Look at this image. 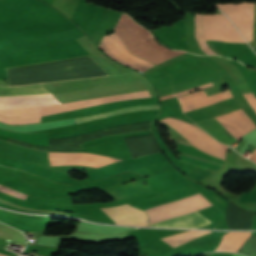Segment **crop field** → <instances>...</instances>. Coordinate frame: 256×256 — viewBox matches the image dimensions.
Listing matches in <instances>:
<instances>
[{"label": "crop field", "instance_id": "crop-field-13", "mask_svg": "<svg viewBox=\"0 0 256 256\" xmlns=\"http://www.w3.org/2000/svg\"><path fill=\"white\" fill-rule=\"evenodd\" d=\"M0 134L37 146H47L48 134L16 133L0 129Z\"/></svg>", "mask_w": 256, "mask_h": 256}, {"label": "crop field", "instance_id": "crop-field-12", "mask_svg": "<svg viewBox=\"0 0 256 256\" xmlns=\"http://www.w3.org/2000/svg\"><path fill=\"white\" fill-rule=\"evenodd\" d=\"M251 233L248 232H228L223 235L220 245L216 248L217 250L238 251L244 242L250 237Z\"/></svg>", "mask_w": 256, "mask_h": 256}, {"label": "crop field", "instance_id": "crop-field-9", "mask_svg": "<svg viewBox=\"0 0 256 256\" xmlns=\"http://www.w3.org/2000/svg\"><path fill=\"white\" fill-rule=\"evenodd\" d=\"M102 210L114 224L137 226L147 225L146 212L135 209L127 204L111 208H103Z\"/></svg>", "mask_w": 256, "mask_h": 256}, {"label": "crop field", "instance_id": "crop-field-15", "mask_svg": "<svg viewBox=\"0 0 256 256\" xmlns=\"http://www.w3.org/2000/svg\"><path fill=\"white\" fill-rule=\"evenodd\" d=\"M158 108H159L158 105L133 106V107L124 108V109H120V110H116V111L98 114L96 116L79 118V119H74V120L76 123H81V122H86V121H90V120H94V119L105 118V117H110V116H114V115H118V114H122V113L136 111V110H148V109H158Z\"/></svg>", "mask_w": 256, "mask_h": 256}, {"label": "crop field", "instance_id": "crop-field-21", "mask_svg": "<svg viewBox=\"0 0 256 256\" xmlns=\"http://www.w3.org/2000/svg\"><path fill=\"white\" fill-rule=\"evenodd\" d=\"M234 256H240V255L235 254Z\"/></svg>", "mask_w": 256, "mask_h": 256}, {"label": "crop field", "instance_id": "crop-field-16", "mask_svg": "<svg viewBox=\"0 0 256 256\" xmlns=\"http://www.w3.org/2000/svg\"><path fill=\"white\" fill-rule=\"evenodd\" d=\"M195 38L204 52L208 55L215 54L204 41L203 30H202V15L195 14Z\"/></svg>", "mask_w": 256, "mask_h": 256}, {"label": "crop field", "instance_id": "crop-field-2", "mask_svg": "<svg viewBox=\"0 0 256 256\" xmlns=\"http://www.w3.org/2000/svg\"><path fill=\"white\" fill-rule=\"evenodd\" d=\"M114 31L130 51L156 65L186 53L185 51H170L159 45L147 30L126 14L122 15Z\"/></svg>", "mask_w": 256, "mask_h": 256}, {"label": "crop field", "instance_id": "crop-field-23", "mask_svg": "<svg viewBox=\"0 0 256 256\" xmlns=\"http://www.w3.org/2000/svg\"><path fill=\"white\" fill-rule=\"evenodd\" d=\"M188 144V143H187Z\"/></svg>", "mask_w": 256, "mask_h": 256}, {"label": "crop field", "instance_id": "crop-field-4", "mask_svg": "<svg viewBox=\"0 0 256 256\" xmlns=\"http://www.w3.org/2000/svg\"><path fill=\"white\" fill-rule=\"evenodd\" d=\"M99 48L114 60L134 68L141 73L155 65L133 55L123 44L115 32L104 36ZM100 49V50H101Z\"/></svg>", "mask_w": 256, "mask_h": 256}, {"label": "crop field", "instance_id": "crop-field-11", "mask_svg": "<svg viewBox=\"0 0 256 256\" xmlns=\"http://www.w3.org/2000/svg\"><path fill=\"white\" fill-rule=\"evenodd\" d=\"M208 223V219L203 217L198 211L183 215L170 220L152 224V227H184V228H200Z\"/></svg>", "mask_w": 256, "mask_h": 256}, {"label": "crop field", "instance_id": "crop-field-19", "mask_svg": "<svg viewBox=\"0 0 256 256\" xmlns=\"http://www.w3.org/2000/svg\"><path fill=\"white\" fill-rule=\"evenodd\" d=\"M252 161L256 162V148L255 150L253 151L252 155L250 156V158Z\"/></svg>", "mask_w": 256, "mask_h": 256}, {"label": "crop field", "instance_id": "crop-field-14", "mask_svg": "<svg viewBox=\"0 0 256 256\" xmlns=\"http://www.w3.org/2000/svg\"><path fill=\"white\" fill-rule=\"evenodd\" d=\"M210 232L211 231H188V232L177 233L166 238H162V240L169 243L173 248H175L187 241L198 238Z\"/></svg>", "mask_w": 256, "mask_h": 256}, {"label": "crop field", "instance_id": "crop-field-6", "mask_svg": "<svg viewBox=\"0 0 256 256\" xmlns=\"http://www.w3.org/2000/svg\"><path fill=\"white\" fill-rule=\"evenodd\" d=\"M230 17L244 38L252 40L254 3L215 4Z\"/></svg>", "mask_w": 256, "mask_h": 256}, {"label": "crop field", "instance_id": "crop-field-3", "mask_svg": "<svg viewBox=\"0 0 256 256\" xmlns=\"http://www.w3.org/2000/svg\"><path fill=\"white\" fill-rule=\"evenodd\" d=\"M212 206L200 193L182 200L145 209L149 215V225L182 214Z\"/></svg>", "mask_w": 256, "mask_h": 256}, {"label": "crop field", "instance_id": "crop-field-10", "mask_svg": "<svg viewBox=\"0 0 256 256\" xmlns=\"http://www.w3.org/2000/svg\"><path fill=\"white\" fill-rule=\"evenodd\" d=\"M222 125L237 139L256 128L242 109L217 116Z\"/></svg>", "mask_w": 256, "mask_h": 256}, {"label": "crop field", "instance_id": "crop-field-8", "mask_svg": "<svg viewBox=\"0 0 256 256\" xmlns=\"http://www.w3.org/2000/svg\"><path fill=\"white\" fill-rule=\"evenodd\" d=\"M113 161L104 156L78 153H50V166L83 165L100 167Z\"/></svg>", "mask_w": 256, "mask_h": 256}, {"label": "crop field", "instance_id": "crop-field-17", "mask_svg": "<svg viewBox=\"0 0 256 256\" xmlns=\"http://www.w3.org/2000/svg\"><path fill=\"white\" fill-rule=\"evenodd\" d=\"M0 191L8 193V194L16 196V197H19V198H23V199L26 198V195H24V194H22L20 192H17V191H15L13 189L6 188L4 186H0Z\"/></svg>", "mask_w": 256, "mask_h": 256}, {"label": "crop field", "instance_id": "crop-field-5", "mask_svg": "<svg viewBox=\"0 0 256 256\" xmlns=\"http://www.w3.org/2000/svg\"><path fill=\"white\" fill-rule=\"evenodd\" d=\"M203 30L205 39L245 42L224 15H203Z\"/></svg>", "mask_w": 256, "mask_h": 256}, {"label": "crop field", "instance_id": "crop-field-1", "mask_svg": "<svg viewBox=\"0 0 256 256\" xmlns=\"http://www.w3.org/2000/svg\"><path fill=\"white\" fill-rule=\"evenodd\" d=\"M150 97L147 90L66 103H60L52 94H50L42 85H34L22 88H3L0 87V109H16L38 107L51 104L39 108L16 109V110H0V114L10 117L24 118H5L0 116V122L8 124H24L40 122V116L67 112L71 110H79L89 108L105 103L139 99ZM28 117V118H26Z\"/></svg>", "mask_w": 256, "mask_h": 256}, {"label": "crop field", "instance_id": "crop-field-7", "mask_svg": "<svg viewBox=\"0 0 256 256\" xmlns=\"http://www.w3.org/2000/svg\"><path fill=\"white\" fill-rule=\"evenodd\" d=\"M208 86H211V83L205 84L184 92L176 93V96L185 95L189 92H193L195 90L202 89ZM229 97H232V94L229 92V90L218 93L210 97H208L205 94V92L201 90L189 95L180 96L178 97V99L180 100V104L183 112H186V111L202 108L204 106H207L209 104L215 103L217 101H220Z\"/></svg>", "mask_w": 256, "mask_h": 256}, {"label": "crop field", "instance_id": "crop-field-20", "mask_svg": "<svg viewBox=\"0 0 256 256\" xmlns=\"http://www.w3.org/2000/svg\"><path fill=\"white\" fill-rule=\"evenodd\" d=\"M170 97H174V94H172V95H168V96H164V97H161V100H163V99H167V98H170Z\"/></svg>", "mask_w": 256, "mask_h": 256}, {"label": "crop field", "instance_id": "crop-field-22", "mask_svg": "<svg viewBox=\"0 0 256 256\" xmlns=\"http://www.w3.org/2000/svg\"><path fill=\"white\" fill-rule=\"evenodd\" d=\"M0 256H5V255L0 254Z\"/></svg>", "mask_w": 256, "mask_h": 256}, {"label": "crop field", "instance_id": "crop-field-18", "mask_svg": "<svg viewBox=\"0 0 256 256\" xmlns=\"http://www.w3.org/2000/svg\"><path fill=\"white\" fill-rule=\"evenodd\" d=\"M243 96L246 98L250 106L256 111V98L253 96V94L249 93Z\"/></svg>", "mask_w": 256, "mask_h": 256}]
</instances>
